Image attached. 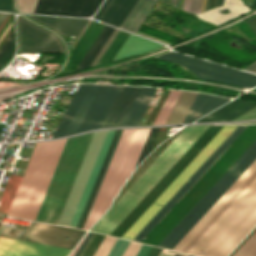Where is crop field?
<instances>
[{
	"mask_svg": "<svg viewBox=\"0 0 256 256\" xmlns=\"http://www.w3.org/2000/svg\"><path fill=\"white\" fill-rule=\"evenodd\" d=\"M104 27V24L94 20L90 23L83 36L72 51V60L64 73L75 71L83 57L97 38L98 34Z\"/></svg>",
	"mask_w": 256,
	"mask_h": 256,
	"instance_id": "obj_16",
	"label": "crop field"
},
{
	"mask_svg": "<svg viewBox=\"0 0 256 256\" xmlns=\"http://www.w3.org/2000/svg\"><path fill=\"white\" fill-rule=\"evenodd\" d=\"M104 238V235L94 233L91 240L89 241V243L87 244V246L85 247L84 251L80 256H93ZM116 241V238L106 236V238L104 239L103 243L101 244V246L99 247L94 256H107ZM128 244V241L118 239V241L116 242L115 246L113 247L108 256H121ZM141 246L142 244L140 243L130 242L122 256H135ZM150 249L151 246L143 244V246L141 247L140 251L136 256H146Z\"/></svg>",
	"mask_w": 256,
	"mask_h": 256,
	"instance_id": "obj_11",
	"label": "crop field"
},
{
	"mask_svg": "<svg viewBox=\"0 0 256 256\" xmlns=\"http://www.w3.org/2000/svg\"><path fill=\"white\" fill-rule=\"evenodd\" d=\"M106 87H107V85H101L96 97L94 98L90 108L88 109V111H87L85 117L83 118L80 126L78 127L76 133L84 131V129H85L86 125L88 124L89 120L91 119V117H92V115H93V113H94V111H95V109H96V107H97V105H98Z\"/></svg>",
	"mask_w": 256,
	"mask_h": 256,
	"instance_id": "obj_32",
	"label": "crop field"
},
{
	"mask_svg": "<svg viewBox=\"0 0 256 256\" xmlns=\"http://www.w3.org/2000/svg\"><path fill=\"white\" fill-rule=\"evenodd\" d=\"M256 118V108L244 113L235 120Z\"/></svg>",
	"mask_w": 256,
	"mask_h": 256,
	"instance_id": "obj_40",
	"label": "crop field"
},
{
	"mask_svg": "<svg viewBox=\"0 0 256 256\" xmlns=\"http://www.w3.org/2000/svg\"><path fill=\"white\" fill-rule=\"evenodd\" d=\"M123 130H117L76 228L82 229Z\"/></svg>",
	"mask_w": 256,
	"mask_h": 256,
	"instance_id": "obj_21",
	"label": "crop field"
},
{
	"mask_svg": "<svg viewBox=\"0 0 256 256\" xmlns=\"http://www.w3.org/2000/svg\"><path fill=\"white\" fill-rule=\"evenodd\" d=\"M85 233L32 222L24 240L73 249Z\"/></svg>",
	"mask_w": 256,
	"mask_h": 256,
	"instance_id": "obj_10",
	"label": "crop field"
},
{
	"mask_svg": "<svg viewBox=\"0 0 256 256\" xmlns=\"http://www.w3.org/2000/svg\"><path fill=\"white\" fill-rule=\"evenodd\" d=\"M140 87L122 86L100 128L121 126Z\"/></svg>",
	"mask_w": 256,
	"mask_h": 256,
	"instance_id": "obj_14",
	"label": "crop field"
},
{
	"mask_svg": "<svg viewBox=\"0 0 256 256\" xmlns=\"http://www.w3.org/2000/svg\"><path fill=\"white\" fill-rule=\"evenodd\" d=\"M161 251L160 248L152 247L149 254L147 256H158L159 252Z\"/></svg>",
	"mask_w": 256,
	"mask_h": 256,
	"instance_id": "obj_45",
	"label": "crop field"
},
{
	"mask_svg": "<svg viewBox=\"0 0 256 256\" xmlns=\"http://www.w3.org/2000/svg\"><path fill=\"white\" fill-rule=\"evenodd\" d=\"M70 249L0 237V256H67Z\"/></svg>",
	"mask_w": 256,
	"mask_h": 256,
	"instance_id": "obj_13",
	"label": "crop field"
},
{
	"mask_svg": "<svg viewBox=\"0 0 256 256\" xmlns=\"http://www.w3.org/2000/svg\"><path fill=\"white\" fill-rule=\"evenodd\" d=\"M157 58L177 62L191 69L200 79L251 88L256 86V75L220 66L178 53H168Z\"/></svg>",
	"mask_w": 256,
	"mask_h": 256,
	"instance_id": "obj_7",
	"label": "crop field"
},
{
	"mask_svg": "<svg viewBox=\"0 0 256 256\" xmlns=\"http://www.w3.org/2000/svg\"><path fill=\"white\" fill-rule=\"evenodd\" d=\"M179 5H180V0H178V4H177V7L179 8Z\"/></svg>",
	"mask_w": 256,
	"mask_h": 256,
	"instance_id": "obj_53",
	"label": "crop field"
},
{
	"mask_svg": "<svg viewBox=\"0 0 256 256\" xmlns=\"http://www.w3.org/2000/svg\"><path fill=\"white\" fill-rule=\"evenodd\" d=\"M93 235L92 232H89V234L87 235L86 239L84 240V242L82 243V245L80 246L79 250L77 251V253L75 254V256H79L82 252V250L84 249V247L86 246V244L88 243V241L90 240L91 236Z\"/></svg>",
	"mask_w": 256,
	"mask_h": 256,
	"instance_id": "obj_42",
	"label": "crop field"
},
{
	"mask_svg": "<svg viewBox=\"0 0 256 256\" xmlns=\"http://www.w3.org/2000/svg\"><path fill=\"white\" fill-rule=\"evenodd\" d=\"M159 256H191V255H186V254H182V253L162 249Z\"/></svg>",
	"mask_w": 256,
	"mask_h": 256,
	"instance_id": "obj_41",
	"label": "crop field"
},
{
	"mask_svg": "<svg viewBox=\"0 0 256 256\" xmlns=\"http://www.w3.org/2000/svg\"><path fill=\"white\" fill-rule=\"evenodd\" d=\"M19 52H64L60 40L52 33L19 18Z\"/></svg>",
	"mask_w": 256,
	"mask_h": 256,
	"instance_id": "obj_9",
	"label": "crop field"
},
{
	"mask_svg": "<svg viewBox=\"0 0 256 256\" xmlns=\"http://www.w3.org/2000/svg\"><path fill=\"white\" fill-rule=\"evenodd\" d=\"M231 99L198 93L184 123L193 122L195 119L224 105Z\"/></svg>",
	"mask_w": 256,
	"mask_h": 256,
	"instance_id": "obj_19",
	"label": "crop field"
},
{
	"mask_svg": "<svg viewBox=\"0 0 256 256\" xmlns=\"http://www.w3.org/2000/svg\"><path fill=\"white\" fill-rule=\"evenodd\" d=\"M117 32L118 30L115 29V31L113 32V34L111 35V37L109 38L105 46L102 48V50L100 51V53L98 54V56L96 57V59L94 60L91 66L96 65V63L98 62V60L100 59V57L102 56V54L104 53V51L106 50V48L108 47V45L110 44V42L112 41V39L114 38Z\"/></svg>",
	"mask_w": 256,
	"mask_h": 256,
	"instance_id": "obj_39",
	"label": "crop field"
},
{
	"mask_svg": "<svg viewBox=\"0 0 256 256\" xmlns=\"http://www.w3.org/2000/svg\"><path fill=\"white\" fill-rule=\"evenodd\" d=\"M156 2L157 0H138L120 25V28L136 33Z\"/></svg>",
	"mask_w": 256,
	"mask_h": 256,
	"instance_id": "obj_22",
	"label": "crop field"
},
{
	"mask_svg": "<svg viewBox=\"0 0 256 256\" xmlns=\"http://www.w3.org/2000/svg\"><path fill=\"white\" fill-rule=\"evenodd\" d=\"M256 90V88H254Z\"/></svg>",
	"mask_w": 256,
	"mask_h": 256,
	"instance_id": "obj_55",
	"label": "crop field"
},
{
	"mask_svg": "<svg viewBox=\"0 0 256 256\" xmlns=\"http://www.w3.org/2000/svg\"><path fill=\"white\" fill-rule=\"evenodd\" d=\"M150 129L123 131L83 229L88 230L103 214L119 188L134 170Z\"/></svg>",
	"mask_w": 256,
	"mask_h": 256,
	"instance_id": "obj_4",
	"label": "crop field"
},
{
	"mask_svg": "<svg viewBox=\"0 0 256 256\" xmlns=\"http://www.w3.org/2000/svg\"><path fill=\"white\" fill-rule=\"evenodd\" d=\"M90 84H82L79 85L72 101L70 102L61 122L58 124L57 126V130L54 133V135L52 136V138L54 137H58V136H64L79 104L81 103L85 93L87 92L88 88H89Z\"/></svg>",
	"mask_w": 256,
	"mask_h": 256,
	"instance_id": "obj_25",
	"label": "crop field"
},
{
	"mask_svg": "<svg viewBox=\"0 0 256 256\" xmlns=\"http://www.w3.org/2000/svg\"><path fill=\"white\" fill-rule=\"evenodd\" d=\"M163 1L167 2V0H163Z\"/></svg>",
	"mask_w": 256,
	"mask_h": 256,
	"instance_id": "obj_54",
	"label": "crop field"
},
{
	"mask_svg": "<svg viewBox=\"0 0 256 256\" xmlns=\"http://www.w3.org/2000/svg\"><path fill=\"white\" fill-rule=\"evenodd\" d=\"M160 46L163 45L130 34L113 60L149 51Z\"/></svg>",
	"mask_w": 256,
	"mask_h": 256,
	"instance_id": "obj_24",
	"label": "crop field"
},
{
	"mask_svg": "<svg viewBox=\"0 0 256 256\" xmlns=\"http://www.w3.org/2000/svg\"><path fill=\"white\" fill-rule=\"evenodd\" d=\"M100 85L91 84L87 94L85 95L82 103L80 104L67 132L65 135L73 134L75 133L78 125L80 124L82 118L84 117L87 109L89 108L94 96L96 95ZM80 126V125H79Z\"/></svg>",
	"mask_w": 256,
	"mask_h": 256,
	"instance_id": "obj_29",
	"label": "crop field"
},
{
	"mask_svg": "<svg viewBox=\"0 0 256 256\" xmlns=\"http://www.w3.org/2000/svg\"><path fill=\"white\" fill-rule=\"evenodd\" d=\"M248 25L251 27V29L255 32L256 34V17L246 21Z\"/></svg>",
	"mask_w": 256,
	"mask_h": 256,
	"instance_id": "obj_43",
	"label": "crop field"
},
{
	"mask_svg": "<svg viewBox=\"0 0 256 256\" xmlns=\"http://www.w3.org/2000/svg\"><path fill=\"white\" fill-rule=\"evenodd\" d=\"M236 182L256 190V160ZM236 182L178 243L175 250L199 256H227L256 225V191Z\"/></svg>",
	"mask_w": 256,
	"mask_h": 256,
	"instance_id": "obj_2",
	"label": "crop field"
},
{
	"mask_svg": "<svg viewBox=\"0 0 256 256\" xmlns=\"http://www.w3.org/2000/svg\"><path fill=\"white\" fill-rule=\"evenodd\" d=\"M102 0H38L33 13L91 16Z\"/></svg>",
	"mask_w": 256,
	"mask_h": 256,
	"instance_id": "obj_12",
	"label": "crop field"
},
{
	"mask_svg": "<svg viewBox=\"0 0 256 256\" xmlns=\"http://www.w3.org/2000/svg\"><path fill=\"white\" fill-rule=\"evenodd\" d=\"M256 103L233 100L228 104L220 107L219 109L213 111L212 113L204 116L203 118L197 120L196 122H221L230 121L231 119L243 114L244 112L254 108Z\"/></svg>",
	"mask_w": 256,
	"mask_h": 256,
	"instance_id": "obj_17",
	"label": "crop field"
},
{
	"mask_svg": "<svg viewBox=\"0 0 256 256\" xmlns=\"http://www.w3.org/2000/svg\"><path fill=\"white\" fill-rule=\"evenodd\" d=\"M245 128V126H237L232 131V133L220 144V146L209 156V158L138 233V235L133 239L134 241L140 242L143 237L150 232V230L163 218V216L176 204V202L189 190V188L202 176V174L215 162V160L228 148V146L241 134Z\"/></svg>",
	"mask_w": 256,
	"mask_h": 256,
	"instance_id": "obj_8",
	"label": "crop field"
},
{
	"mask_svg": "<svg viewBox=\"0 0 256 256\" xmlns=\"http://www.w3.org/2000/svg\"><path fill=\"white\" fill-rule=\"evenodd\" d=\"M113 31H114V28L105 25V27L103 28L98 38L96 39V41L94 42V44L92 45V47L90 48L86 56L84 57L83 61L81 62L77 70L89 68L90 64L92 63L94 58L97 56V54L99 53V51L101 50V48L103 47V45L105 44L107 39L110 37Z\"/></svg>",
	"mask_w": 256,
	"mask_h": 256,
	"instance_id": "obj_28",
	"label": "crop field"
},
{
	"mask_svg": "<svg viewBox=\"0 0 256 256\" xmlns=\"http://www.w3.org/2000/svg\"><path fill=\"white\" fill-rule=\"evenodd\" d=\"M92 134L37 142L8 215L56 224Z\"/></svg>",
	"mask_w": 256,
	"mask_h": 256,
	"instance_id": "obj_1",
	"label": "crop field"
},
{
	"mask_svg": "<svg viewBox=\"0 0 256 256\" xmlns=\"http://www.w3.org/2000/svg\"><path fill=\"white\" fill-rule=\"evenodd\" d=\"M202 0H191L190 13H200ZM206 0H203L201 12L205 9Z\"/></svg>",
	"mask_w": 256,
	"mask_h": 256,
	"instance_id": "obj_36",
	"label": "crop field"
},
{
	"mask_svg": "<svg viewBox=\"0 0 256 256\" xmlns=\"http://www.w3.org/2000/svg\"><path fill=\"white\" fill-rule=\"evenodd\" d=\"M209 6H210V0H207L205 11L209 9Z\"/></svg>",
	"mask_w": 256,
	"mask_h": 256,
	"instance_id": "obj_51",
	"label": "crop field"
},
{
	"mask_svg": "<svg viewBox=\"0 0 256 256\" xmlns=\"http://www.w3.org/2000/svg\"><path fill=\"white\" fill-rule=\"evenodd\" d=\"M171 4L174 5V6H176L177 0H172V1H171Z\"/></svg>",
	"mask_w": 256,
	"mask_h": 256,
	"instance_id": "obj_52",
	"label": "crop field"
},
{
	"mask_svg": "<svg viewBox=\"0 0 256 256\" xmlns=\"http://www.w3.org/2000/svg\"><path fill=\"white\" fill-rule=\"evenodd\" d=\"M37 0H17V5L22 12L32 13Z\"/></svg>",
	"mask_w": 256,
	"mask_h": 256,
	"instance_id": "obj_35",
	"label": "crop field"
},
{
	"mask_svg": "<svg viewBox=\"0 0 256 256\" xmlns=\"http://www.w3.org/2000/svg\"><path fill=\"white\" fill-rule=\"evenodd\" d=\"M156 88L142 87L122 126L138 125L146 107L148 106Z\"/></svg>",
	"mask_w": 256,
	"mask_h": 256,
	"instance_id": "obj_23",
	"label": "crop field"
},
{
	"mask_svg": "<svg viewBox=\"0 0 256 256\" xmlns=\"http://www.w3.org/2000/svg\"><path fill=\"white\" fill-rule=\"evenodd\" d=\"M244 70L256 73V61L246 67Z\"/></svg>",
	"mask_w": 256,
	"mask_h": 256,
	"instance_id": "obj_46",
	"label": "crop field"
},
{
	"mask_svg": "<svg viewBox=\"0 0 256 256\" xmlns=\"http://www.w3.org/2000/svg\"><path fill=\"white\" fill-rule=\"evenodd\" d=\"M14 50L13 42L8 46L4 53L0 56V68L7 62Z\"/></svg>",
	"mask_w": 256,
	"mask_h": 256,
	"instance_id": "obj_37",
	"label": "crop field"
},
{
	"mask_svg": "<svg viewBox=\"0 0 256 256\" xmlns=\"http://www.w3.org/2000/svg\"><path fill=\"white\" fill-rule=\"evenodd\" d=\"M137 0H106L95 19L119 27Z\"/></svg>",
	"mask_w": 256,
	"mask_h": 256,
	"instance_id": "obj_15",
	"label": "crop field"
},
{
	"mask_svg": "<svg viewBox=\"0 0 256 256\" xmlns=\"http://www.w3.org/2000/svg\"><path fill=\"white\" fill-rule=\"evenodd\" d=\"M0 11L13 12V0H0Z\"/></svg>",
	"mask_w": 256,
	"mask_h": 256,
	"instance_id": "obj_38",
	"label": "crop field"
},
{
	"mask_svg": "<svg viewBox=\"0 0 256 256\" xmlns=\"http://www.w3.org/2000/svg\"><path fill=\"white\" fill-rule=\"evenodd\" d=\"M60 34L79 36L89 20L30 16Z\"/></svg>",
	"mask_w": 256,
	"mask_h": 256,
	"instance_id": "obj_20",
	"label": "crop field"
},
{
	"mask_svg": "<svg viewBox=\"0 0 256 256\" xmlns=\"http://www.w3.org/2000/svg\"><path fill=\"white\" fill-rule=\"evenodd\" d=\"M120 86L109 85L96 112L94 113L92 119L87 125L85 131L93 130L99 128L102 120L104 119L107 111L109 110Z\"/></svg>",
	"mask_w": 256,
	"mask_h": 256,
	"instance_id": "obj_26",
	"label": "crop field"
},
{
	"mask_svg": "<svg viewBox=\"0 0 256 256\" xmlns=\"http://www.w3.org/2000/svg\"><path fill=\"white\" fill-rule=\"evenodd\" d=\"M115 131H116V130L109 131L108 134H107V137H106V139H105V141H104V144H103L102 149H101V151H100V153H99V156H98V158H97V161H96V163H95V165H94V168H93V170H92V173H91V175H90V177H89V180H88V182H87V185H86V187H85V189H84V192H83V194H82V197H81V199H80V201H79V204H78V206H77V209H76V211H75V213H74V216H73V218H72V221H71V223H70V225H69L70 227H74V228H75L76 225H77V222H78V220H79V218H80V215H81V213H82V210H83V208H84V206H85V203H86V201H87V198H88V196H89V193H90V191H91V189H92V186H93L94 181H95V179H96V177H97V174H98L99 169H100V167H101V165H102V162H103V160H104V157H105L106 152H107V150H108V148H109V145H110V143H111V140H112V138H113V136H114Z\"/></svg>",
	"mask_w": 256,
	"mask_h": 256,
	"instance_id": "obj_18",
	"label": "crop field"
},
{
	"mask_svg": "<svg viewBox=\"0 0 256 256\" xmlns=\"http://www.w3.org/2000/svg\"><path fill=\"white\" fill-rule=\"evenodd\" d=\"M13 38V33L11 36L6 40V42L3 44V46L0 48V55L3 53V51L7 48V46L10 44L11 40Z\"/></svg>",
	"mask_w": 256,
	"mask_h": 256,
	"instance_id": "obj_44",
	"label": "crop field"
},
{
	"mask_svg": "<svg viewBox=\"0 0 256 256\" xmlns=\"http://www.w3.org/2000/svg\"><path fill=\"white\" fill-rule=\"evenodd\" d=\"M88 234V233H87ZM86 237V236H85ZM85 237L83 238V240L85 239ZM83 240L79 243V245L76 247V249L73 251V253L70 256H74V254L76 253L77 249L79 248V246L81 245V243L83 242Z\"/></svg>",
	"mask_w": 256,
	"mask_h": 256,
	"instance_id": "obj_48",
	"label": "crop field"
},
{
	"mask_svg": "<svg viewBox=\"0 0 256 256\" xmlns=\"http://www.w3.org/2000/svg\"><path fill=\"white\" fill-rule=\"evenodd\" d=\"M180 91L171 90L167 100L165 101L160 113L158 114L154 124H164Z\"/></svg>",
	"mask_w": 256,
	"mask_h": 256,
	"instance_id": "obj_31",
	"label": "crop field"
},
{
	"mask_svg": "<svg viewBox=\"0 0 256 256\" xmlns=\"http://www.w3.org/2000/svg\"><path fill=\"white\" fill-rule=\"evenodd\" d=\"M158 129L159 128H152L151 129L150 134L148 136V139L146 141V144H145L144 149H143V151L141 153V156L139 158L138 163L148 154ZM138 163H137V165H138Z\"/></svg>",
	"mask_w": 256,
	"mask_h": 256,
	"instance_id": "obj_34",
	"label": "crop field"
},
{
	"mask_svg": "<svg viewBox=\"0 0 256 256\" xmlns=\"http://www.w3.org/2000/svg\"><path fill=\"white\" fill-rule=\"evenodd\" d=\"M208 127L187 126L91 231L109 235Z\"/></svg>",
	"mask_w": 256,
	"mask_h": 256,
	"instance_id": "obj_3",
	"label": "crop field"
},
{
	"mask_svg": "<svg viewBox=\"0 0 256 256\" xmlns=\"http://www.w3.org/2000/svg\"><path fill=\"white\" fill-rule=\"evenodd\" d=\"M197 93L182 91L166 124L183 123Z\"/></svg>",
	"mask_w": 256,
	"mask_h": 256,
	"instance_id": "obj_27",
	"label": "crop field"
},
{
	"mask_svg": "<svg viewBox=\"0 0 256 256\" xmlns=\"http://www.w3.org/2000/svg\"><path fill=\"white\" fill-rule=\"evenodd\" d=\"M7 14L5 13H0V24L3 21V19L6 17Z\"/></svg>",
	"mask_w": 256,
	"mask_h": 256,
	"instance_id": "obj_49",
	"label": "crop field"
},
{
	"mask_svg": "<svg viewBox=\"0 0 256 256\" xmlns=\"http://www.w3.org/2000/svg\"><path fill=\"white\" fill-rule=\"evenodd\" d=\"M129 36V33H126L124 31L119 30L117 35L115 36L114 40L102 56L101 60L97 65L112 61L120 47L123 45L127 37Z\"/></svg>",
	"mask_w": 256,
	"mask_h": 256,
	"instance_id": "obj_30",
	"label": "crop field"
},
{
	"mask_svg": "<svg viewBox=\"0 0 256 256\" xmlns=\"http://www.w3.org/2000/svg\"><path fill=\"white\" fill-rule=\"evenodd\" d=\"M235 127L236 126H223L207 143V145L195 156V158L184 168V170L173 180V182L161 193V195L150 205V207L127 230L122 238L132 240Z\"/></svg>",
	"mask_w": 256,
	"mask_h": 256,
	"instance_id": "obj_6",
	"label": "crop field"
},
{
	"mask_svg": "<svg viewBox=\"0 0 256 256\" xmlns=\"http://www.w3.org/2000/svg\"><path fill=\"white\" fill-rule=\"evenodd\" d=\"M233 256H256V231Z\"/></svg>",
	"mask_w": 256,
	"mask_h": 256,
	"instance_id": "obj_33",
	"label": "crop field"
},
{
	"mask_svg": "<svg viewBox=\"0 0 256 256\" xmlns=\"http://www.w3.org/2000/svg\"><path fill=\"white\" fill-rule=\"evenodd\" d=\"M255 159L256 140L158 246L172 249Z\"/></svg>",
	"mask_w": 256,
	"mask_h": 256,
	"instance_id": "obj_5",
	"label": "crop field"
},
{
	"mask_svg": "<svg viewBox=\"0 0 256 256\" xmlns=\"http://www.w3.org/2000/svg\"><path fill=\"white\" fill-rule=\"evenodd\" d=\"M189 4H190V0H184V6H183V10L187 11L189 10Z\"/></svg>",
	"mask_w": 256,
	"mask_h": 256,
	"instance_id": "obj_47",
	"label": "crop field"
},
{
	"mask_svg": "<svg viewBox=\"0 0 256 256\" xmlns=\"http://www.w3.org/2000/svg\"><path fill=\"white\" fill-rule=\"evenodd\" d=\"M254 123H256V122H254Z\"/></svg>",
	"mask_w": 256,
	"mask_h": 256,
	"instance_id": "obj_56",
	"label": "crop field"
},
{
	"mask_svg": "<svg viewBox=\"0 0 256 256\" xmlns=\"http://www.w3.org/2000/svg\"><path fill=\"white\" fill-rule=\"evenodd\" d=\"M223 2H224V0H217V4H216V7H217V6H220V5H222V4H223Z\"/></svg>",
	"mask_w": 256,
	"mask_h": 256,
	"instance_id": "obj_50",
	"label": "crop field"
}]
</instances>
